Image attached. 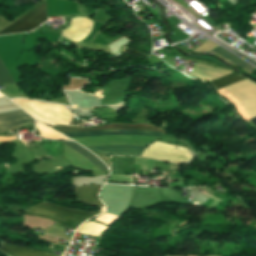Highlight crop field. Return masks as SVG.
<instances>
[{"label":"crop field","instance_id":"22f410ed","mask_svg":"<svg viewBox=\"0 0 256 256\" xmlns=\"http://www.w3.org/2000/svg\"><path fill=\"white\" fill-rule=\"evenodd\" d=\"M65 144H68L70 146H72L73 148H75L77 151H79L81 154H83L84 156H86L87 158H89L90 160H92L94 163H96L100 169L104 172L105 170H107V168L104 166V164L98 159L96 158L94 155H92L90 152H88L87 150H85L84 148H82L81 146L77 145L74 142H67L64 141Z\"/></svg>","mask_w":256,"mask_h":256},{"label":"crop field","instance_id":"214f88e0","mask_svg":"<svg viewBox=\"0 0 256 256\" xmlns=\"http://www.w3.org/2000/svg\"><path fill=\"white\" fill-rule=\"evenodd\" d=\"M0 97H2V95L0 94Z\"/></svg>","mask_w":256,"mask_h":256},{"label":"crop field","instance_id":"bc2a9ffb","mask_svg":"<svg viewBox=\"0 0 256 256\" xmlns=\"http://www.w3.org/2000/svg\"><path fill=\"white\" fill-rule=\"evenodd\" d=\"M250 121L256 126V118L250 119Z\"/></svg>","mask_w":256,"mask_h":256},{"label":"crop field","instance_id":"dd49c442","mask_svg":"<svg viewBox=\"0 0 256 256\" xmlns=\"http://www.w3.org/2000/svg\"><path fill=\"white\" fill-rule=\"evenodd\" d=\"M47 21L44 10V2L31 12L27 13L13 24L0 31V34L29 31Z\"/></svg>","mask_w":256,"mask_h":256},{"label":"crop field","instance_id":"34b2d1b8","mask_svg":"<svg viewBox=\"0 0 256 256\" xmlns=\"http://www.w3.org/2000/svg\"><path fill=\"white\" fill-rule=\"evenodd\" d=\"M12 101L42 123L46 122L51 125L63 124L68 126L74 116L61 105L46 104L23 99H15Z\"/></svg>","mask_w":256,"mask_h":256},{"label":"crop field","instance_id":"f4fd0767","mask_svg":"<svg viewBox=\"0 0 256 256\" xmlns=\"http://www.w3.org/2000/svg\"><path fill=\"white\" fill-rule=\"evenodd\" d=\"M225 89L243 103L251 117L256 116V85L245 79Z\"/></svg>","mask_w":256,"mask_h":256},{"label":"crop field","instance_id":"8a807250","mask_svg":"<svg viewBox=\"0 0 256 256\" xmlns=\"http://www.w3.org/2000/svg\"><path fill=\"white\" fill-rule=\"evenodd\" d=\"M51 128L60 133L97 131V130H115V129L163 131L155 126L146 125V124H122V123H116L112 125H102L98 127H87V128H76V127H65V126H54ZM98 133H151V134H161V135L165 134L162 132H151V131L116 130V131L68 133L64 135L67 137H71V136H78V135H85V134H98ZM88 149L91 152L103 154L107 156H111V155L139 156V154L143 150V148H132V147H94V148H88Z\"/></svg>","mask_w":256,"mask_h":256},{"label":"crop field","instance_id":"3316defc","mask_svg":"<svg viewBox=\"0 0 256 256\" xmlns=\"http://www.w3.org/2000/svg\"><path fill=\"white\" fill-rule=\"evenodd\" d=\"M106 229L107 227L101 226L93 222H88L82 225L77 233L100 237Z\"/></svg>","mask_w":256,"mask_h":256},{"label":"crop field","instance_id":"412701ff","mask_svg":"<svg viewBox=\"0 0 256 256\" xmlns=\"http://www.w3.org/2000/svg\"><path fill=\"white\" fill-rule=\"evenodd\" d=\"M142 156L171 162H183L191 159L188 149L159 142H154L146 148Z\"/></svg>","mask_w":256,"mask_h":256},{"label":"crop field","instance_id":"cbeb9de0","mask_svg":"<svg viewBox=\"0 0 256 256\" xmlns=\"http://www.w3.org/2000/svg\"><path fill=\"white\" fill-rule=\"evenodd\" d=\"M37 129L40 131L41 136L48 137V138H54V139H66L65 137L51 131L50 129L46 128L45 126L37 123Z\"/></svg>","mask_w":256,"mask_h":256},{"label":"crop field","instance_id":"4a817a6b","mask_svg":"<svg viewBox=\"0 0 256 256\" xmlns=\"http://www.w3.org/2000/svg\"><path fill=\"white\" fill-rule=\"evenodd\" d=\"M16 139L15 136L12 137H0V141L13 140Z\"/></svg>","mask_w":256,"mask_h":256},{"label":"crop field","instance_id":"28ad6ade","mask_svg":"<svg viewBox=\"0 0 256 256\" xmlns=\"http://www.w3.org/2000/svg\"><path fill=\"white\" fill-rule=\"evenodd\" d=\"M245 78H242L240 76H237L233 73L228 74L226 76L220 77L218 79L210 81L211 85L214 87L215 90L225 87L227 85H230L232 83H235L237 81L243 80Z\"/></svg>","mask_w":256,"mask_h":256},{"label":"crop field","instance_id":"5a996713","mask_svg":"<svg viewBox=\"0 0 256 256\" xmlns=\"http://www.w3.org/2000/svg\"><path fill=\"white\" fill-rule=\"evenodd\" d=\"M1 250L5 251L10 256H54V255L37 252V251L29 250L26 248L16 247L8 244H4Z\"/></svg>","mask_w":256,"mask_h":256},{"label":"crop field","instance_id":"d8731c3e","mask_svg":"<svg viewBox=\"0 0 256 256\" xmlns=\"http://www.w3.org/2000/svg\"><path fill=\"white\" fill-rule=\"evenodd\" d=\"M100 187L98 186H83L78 188V198L80 201L94 204V205H102L97 197V193Z\"/></svg>","mask_w":256,"mask_h":256},{"label":"crop field","instance_id":"e52e79f7","mask_svg":"<svg viewBox=\"0 0 256 256\" xmlns=\"http://www.w3.org/2000/svg\"><path fill=\"white\" fill-rule=\"evenodd\" d=\"M32 122L20 110L0 114V130ZM12 131V130H10Z\"/></svg>","mask_w":256,"mask_h":256},{"label":"crop field","instance_id":"733c2abd","mask_svg":"<svg viewBox=\"0 0 256 256\" xmlns=\"http://www.w3.org/2000/svg\"><path fill=\"white\" fill-rule=\"evenodd\" d=\"M217 45L215 43H213L211 40H207L205 41L202 45H200L198 48H196L194 51L192 52H197V51H210L211 49H213L214 47H216Z\"/></svg>","mask_w":256,"mask_h":256},{"label":"crop field","instance_id":"ac0d7876","mask_svg":"<svg viewBox=\"0 0 256 256\" xmlns=\"http://www.w3.org/2000/svg\"><path fill=\"white\" fill-rule=\"evenodd\" d=\"M100 213L101 212L65 209L48 202H42L26 211H23V214L50 219L63 227L74 230L86 219Z\"/></svg>","mask_w":256,"mask_h":256},{"label":"crop field","instance_id":"5142ce71","mask_svg":"<svg viewBox=\"0 0 256 256\" xmlns=\"http://www.w3.org/2000/svg\"><path fill=\"white\" fill-rule=\"evenodd\" d=\"M119 216H115L112 214L104 213L100 217L96 218L95 220L110 225L113 223Z\"/></svg>","mask_w":256,"mask_h":256},{"label":"crop field","instance_id":"d9b57169","mask_svg":"<svg viewBox=\"0 0 256 256\" xmlns=\"http://www.w3.org/2000/svg\"><path fill=\"white\" fill-rule=\"evenodd\" d=\"M1 84H13L5 71L1 61H0V85Z\"/></svg>","mask_w":256,"mask_h":256},{"label":"crop field","instance_id":"d1516ede","mask_svg":"<svg viewBox=\"0 0 256 256\" xmlns=\"http://www.w3.org/2000/svg\"><path fill=\"white\" fill-rule=\"evenodd\" d=\"M215 54L247 69L250 71L251 67L250 65H248L247 63H245L244 61L240 60L239 58H237L236 56L232 55L231 53L225 51L224 49L220 48L219 46L216 47L215 49L212 50Z\"/></svg>","mask_w":256,"mask_h":256}]
</instances>
